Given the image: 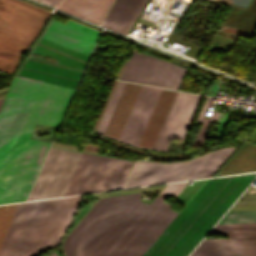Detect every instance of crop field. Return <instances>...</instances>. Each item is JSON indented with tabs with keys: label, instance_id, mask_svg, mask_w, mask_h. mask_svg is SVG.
Returning <instances> with one entry per match:
<instances>
[{
	"label": "crop field",
	"instance_id": "8a807250",
	"mask_svg": "<svg viewBox=\"0 0 256 256\" xmlns=\"http://www.w3.org/2000/svg\"><path fill=\"white\" fill-rule=\"evenodd\" d=\"M73 89L15 77L0 111V204L25 201L51 144L28 137L35 123L59 127Z\"/></svg>",
	"mask_w": 256,
	"mask_h": 256
},
{
	"label": "crop field",
	"instance_id": "ac0d7876",
	"mask_svg": "<svg viewBox=\"0 0 256 256\" xmlns=\"http://www.w3.org/2000/svg\"><path fill=\"white\" fill-rule=\"evenodd\" d=\"M255 176L208 179L142 256H187Z\"/></svg>",
	"mask_w": 256,
	"mask_h": 256
},
{
	"label": "crop field",
	"instance_id": "34b2d1b8",
	"mask_svg": "<svg viewBox=\"0 0 256 256\" xmlns=\"http://www.w3.org/2000/svg\"><path fill=\"white\" fill-rule=\"evenodd\" d=\"M125 82L119 81L97 129L102 133ZM142 85L125 83L103 135L119 139ZM159 88L142 86L119 141L135 145ZM179 92L161 89L135 146L154 149Z\"/></svg>",
	"mask_w": 256,
	"mask_h": 256
},
{
	"label": "crop field",
	"instance_id": "412701ff",
	"mask_svg": "<svg viewBox=\"0 0 256 256\" xmlns=\"http://www.w3.org/2000/svg\"><path fill=\"white\" fill-rule=\"evenodd\" d=\"M141 193L100 198L66 239L68 256H105L148 204Z\"/></svg>",
	"mask_w": 256,
	"mask_h": 256
},
{
	"label": "crop field",
	"instance_id": "f4fd0767",
	"mask_svg": "<svg viewBox=\"0 0 256 256\" xmlns=\"http://www.w3.org/2000/svg\"><path fill=\"white\" fill-rule=\"evenodd\" d=\"M50 15L20 0H0V70L12 74Z\"/></svg>",
	"mask_w": 256,
	"mask_h": 256
},
{
	"label": "crop field",
	"instance_id": "dd49c442",
	"mask_svg": "<svg viewBox=\"0 0 256 256\" xmlns=\"http://www.w3.org/2000/svg\"><path fill=\"white\" fill-rule=\"evenodd\" d=\"M187 183L167 184L106 256H141L177 214L163 200L176 197Z\"/></svg>",
	"mask_w": 256,
	"mask_h": 256
},
{
	"label": "crop field",
	"instance_id": "e52e79f7",
	"mask_svg": "<svg viewBox=\"0 0 256 256\" xmlns=\"http://www.w3.org/2000/svg\"><path fill=\"white\" fill-rule=\"evenodd\" d=\"M234 149L225 147L190 161L137 162L126 187L211 177Z\"/></svg>",
	"mask_w": 256,
	"mask_h": 256
},
{
	"label": "crop field",
	"instance_id": "d8731c3e",
	"mask_svg": "<svg viewBox=\"0 0 256 256\" xmlns=\"http://www.w3.org/2000/svg\"><path fill=\"white\" fill-rule=\"evenodd\" d=\"M81 196L47 200L25 256H35L57 244L80 205Z\"/></svg>",
	"mask_w": 256,
	"mask_h": 256
},
{
	"label": "crop field",
	"instance_id": "5a996713",
	"mask_svg": "<svg viewBox=\"0 0 256 256\" xmlns=\"http://www.w3.org/2000/svg\"><path fill=\"white\" fill-rule=\"evenodd\" d=\"M81 154L51 147L27 200L62 196Z\"/></svg>",
	"mask_w": 256,
	"mask_h": 256
},
{
	"label": "crop field",
	"instance_id": "3316defc",
	"mask_svg": "<svg viewBox=\"0 0 256 256\" xmlns=\"http://www.w3.org/2000/svg\"><path fill=\"white\" fill-rule=\"evenodd\" d=\"M185 71L186 68L134 49L120 79L177 90Z\"/></svg>",
	"mask_w": 256,
	"mask_h": 256
},
{
	"label": "crop field",
	"instance_id": "28ad6ade",
	"mask_svg": "<svg viewBox=\"0 0 256 256\" xmlns=\"http://www.w3.org/2000/svg\"><path fill=\"white\" fill-rule=\"evenodd\" d=\"M133 163L93 155L75 194L122 188Z\"/></svg>",
	"mask_w": 256,
	"mask_h": 256
},
{
	"label": "crop field",
	"instance_id": "d1516ede",
	"mask_svg": "<svg viewBox=\"0 0 256 256\" xmlns=\"http://www.w3.org/2000/svg\"><path fill=\"white\" fill-rule=\"evenodd\" d=\"M201 97L179 93L154 150L166 151L171 139H183Z\"/></svg>",
	"mask_w": 256,
	"mask_h": 256
},
{
	"label": "crop field",
	"instance_id": "22f410ed",
	"mask_svg": "<svg viewBox=\"0 0 256 256\" xmlns=\"http://www.w3.org/2000/svg\"><path fill=\"white\" fill-rule=\"evenodd\" d=\"M100 34L70 20L65 24L53 20L42 37L90 55Z\"/></svg>",
	"mask_w": 256,
	"mask_h": 256
},
{
	"label": "crop field",
	"instance_id": "cbeb9de0",
	"mask_svg": "<svg viewBox=\"0 0 256 256\" xmlns=\"http://www.w3.org/2000/svg\"><path fill=\"white\" fill-rule=\"evenodd\" d=\"M44 38L41 37L39 39V41L34 46L33 51L52 57L59 61L57 63H54L31 57L27 58L28 61L55 66L81 73L84 72L87 62L90 58L89 55L78 52L76 50H73L71 48L65 47L63 45L57 44Z\"/></svg>",
	"mask_w": 256,
	"mask_h": 256
},
{
	"label": "crop field",
	"instance_id": "5142ce71",
	"mask_svg": "<svg viewBox=\"0 0 256 256\" xmlns=\"http://www.w3.org/2000/svg\"><path fill=\"white\" fill-rule=\"evenodd\" d=\"M191 256H256V236L204 239Z\"/></svg>",
	"mask_w": 256,
	"mask_h": 256
},
{
	"label": "crop field",
	"instance_id": "d9b57169",
	"mask_svg": "<svg viewBox=\"0 0 256 256\" xmlns=\"http://www.w3.org/2000/svg\"><path fill=\"white\" fill-rule=\"evenodd\" d=\"M146 0H114L101 26L126 35Z\"/></svg>",
	"mask_w": 256,
	"mask_h": 256
},
{
	"label": "crop field",
	"instance_id": "733c2abd",
	"mask_svg": "<svg viewBox=\"0 0 256 256\" xmlns=\"http://www.w3.org/2000/svg\"><path fill=\"white\" fill-rule=\"evenodd\" d=\"M18 76L45 81L69 88H76L82 74L25 61Z\"/></svg>",
	"mask_w": 256,
	"mask_h": 256
},
{
	"label": "crop field",
	"instance_id": "4a817a6b",
	"mask_svg": "<svg viewBox=\"0 0 256 256\" xmlns=\"http://www.w3.org/2000/svg\"><path fill=\"white\" fill-rule=\"evenodd\" d=\"M35 202L18 204L0 249V256H13Z\"/></svg>",
	"mask_w": 256,
	"mask_h": 256
},
{
	"label": "crop field",
	"instance_id": "bc2a9ffb",
	"mask_svg": "<svg viewBox=\"0 0 256 256\" xmlns=\"http://www.w3.org/2000/svg\"><path fill=\"white\" fill-rule=\"evenodd\" d=\"M111 2L112 0H64L58 8L99 24Z\"/></svg>",
	"mask_w": 256,
	"mask_h": 256
},
{
	"label": "crop field",
	"instance_id": "214f88e0",
	"mask_svg": "<svg viewBox=\"0 0 256 256\" xmlns=\"http://www.w3.org/2000/svg\"><path fill=\"white\" fill-rule=\"evenodd\" d=\"M46 200L44 201H38L35 203L34 208L32 210V213L30 215V218L28 220V223L26 225V228L23 232V235L21 237V240L19 242V245L17 247V250L15 252L14 256H24V253L26 251V248L28 246V243L30 241V238L32 236V233L34 231V228L36 226V223L38 221V218L40 216V213L42 211V208L44 206Z\"/></svg>",
	"mask_w": 256,
	"mask_h": 256
},
{
	"label": "crop field",
	"instance_id": "92a150f3",
	"mask_svg": "<svg viewBox=\"0 0 256 256\" xmlns=\"http://www.w3.org/2000/svg\"><path fill=\"white\" fill-rule=\"evenodd\" d=\"M213 232L226 237L256 235V223L217 225L211 233Z\"/></svg>",
	"mask_w": 256,
	"mask_h": 256
},
{
	"label": "crop field",
	"instance_id": "dafd665d",
	"mask_svg": "<svg viewBox=\"0 0 256 256\" xmlns=\"http://www.w3.org/2000/svg\"><path fill=\"white\" fill-rule=\"evenodd\" d=\"M90 158H91L90 154H85V153L82 154L63 196L72 195L75 193Z\"/></svg>",
	"mask_w": 256,
	"mask_h": 256
},
{
	"label": "crop field",
	"instance_id": "00972430",
	"mask_svg": "<svg viewBox=\"0 0 256 256\" xmlns=\"http://www.w3.org/2000/svg\"><path fill=\"white\" fill-rule=\"evenodd\" d=\"M243 222H256V210L228 212L219 224Z\"/></svg>",
	"mask_w": 256,
	"mask_h": 256
},
{
	"label": "crop field",
	"instance_id": "a9b5d70f",
	"mask_svg": "<svg viewBox=\"0 0 256 256\" xmlns=\"http://www.w3.org/2000/svg\"><path fill=\"white\" fill-rule=\"evenodd\" d=\"M210 100H211V98L208 97L206 102H205V104H204V106H203V108H202V111H201V113H200V115H199V117H198V119L196 121V122H203V124H202L201 129H200V131L198 133V136L196 138L194 146H200L201 145L202 140H203V138L205 136V133L207 131V128H208L210 122L216 121L218 116H219V114H220L218 112H213L211 117H210V120L202 118L204 113H205V111H206V108H207Z\"/></svg>",
	"mask_w": 256,
	"mask_h": 256
},
{
	"label": "crop field",
	"instance_id": "4177f3b9",
	"mask_svg": "<svg viewBox=\"0 0 256 256\" xmlns=\"http://www.w3.org/2000/svg\"><path fill=\"white\" fill-rule=\"evenodd\" d=\"M17 204L0 206V246Z\"/></svg>",
	"mask_w": 256,
	"mask_h": 256
},
{
	"label": "crop field",
	"instance_id": "730fd06b",
	"mask_svg": "<svg viewBox=\"0 0 256 256\" xmlns=\"http://www.w3.org/2000/svg\"><path fill=\"white\" fill-rule=\"evenodd\" d=\"M36 1H39V2L44 3L46 5L52 6L54 8H56L61 2V0H36Z\"/></svg>",
	"mask_w": 256,
	"mask_h": 256
},
{
	"label": "crop field",
	"instance_id": "eef30255",
	"mask_svg": "<svg viewBox=\"0 0 256 256\" xmlns=\"http://www.w3.org/2000/svg\"><path fill=\"white\" fill-rule=\"evenodd\" d=\"M50 256H58V255H56L55 253H52Z\"/></svg>",
	"mask_w": 256,
	"mask_h": 256
},
{
	"label": "crop field",
	"instance_id": "ae1a2a85",
	"mask_svg": "<svg viewBox=\"0 0 256 256\" xmlns=\"http://www.w3.org/2000/svg\"><path fill=\"white\" fill-rule=\"evenodd\" d=\"M3 99H0V107H1V103H2Z\"/></svg>",
	"mask_w": 256,
	"mask_h": 256
}]
</instances>
